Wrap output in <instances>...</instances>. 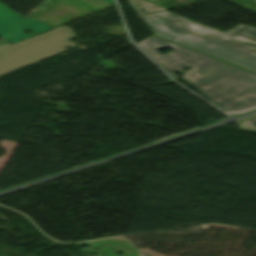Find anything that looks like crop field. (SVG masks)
Masks as SVG:
<instances>
[{"instance_id": "8a807250", "label": "crop field", "mask_w": 256, "mask_h": 256, "mask_svg": "<svg viewBox=\"0 0 256 256\" xmlns=\"http://www.w3.org/2000/svg\"><path fill=\"white\" fill-rule=\"evenodd\" d=\"M137 45L170 75L191 68L182 78L223 111L256 106V74L158 37ZM166 47L173 51L161 53Z\"/></svg>"}, {"instance_id": "412701ff", "label": "crop field", "mask_w": 256, "mask_h": 256, "mask_svg": "<svg viewBox=\"0 0 256 256\" xmlns=\"http://www.w3.org/2000/svg\"><path fill=\"white\" fill-rule=\"evenodd\" d=\"M8 8L0 3V36L11 43L52 29L38 19L32 20L24 18ZM25 28H28L33 33L24 34L23 30ZM11 33H13L15 37H11Z\"/></svg>"}, {"instance_id": "ac0d7876", "label": "crop field", "mask_w": 256, "mask_h": 256, "mask_svg": "<svg viewBox=\"0 0 256 256\" xmlns=\"http://www.w3.org/2000/svg\"><path fill=\"white\" fill-rule=\"evenodd\" d=\"M140 18L158 36L256 71V28L239 25L216 33L166 11Z\"/></svg>"}, {"instance_id": "e52e79f7", "label": "crop field", "mask_w": 256, "mask_h": 256, "mask_svg": "<svg viewBox=\"0 0 256 256\" xmlns=\"http://www.w3.org/2000/svg\"><path fill=\"white\" fill-rule=\"evenodd\" d=\"M239 130H243V131H248V132L256 133V130L247 129V128H243V127H240Z\"/></svg>"}, {"instance_id": "d8731c3e", "label": "crop field", "mask_w": 256, "mask_h": 256, "mask_svg": "<svg viewBox=\"0 0 256 256\" xmlns=\"http://www.w3.org/2000/svg\"><path fill=\"white\" fill-rule=\"evenodd\" d=\"M102 1L106 2L107 4H109L111 6L114 5L112 0H102Z\"/></svg>"}, {"instance_id": "34b2d1b8", "label": "crop field", "mask_w": 256, "mask_h": 256, "mask_svg": "<svg viewBox=\"0 0 256 256\" xmlns=\"http://www.w3.org/2000/svg\"><path fill=\"white\" fill-rule=\"evenodd\" d=\"M73 37V31L63 25L15 45L0 46V76L62 53L65 47H77L69 41Z\"/></svg>"}, {"instance_id": "dd49c442", "label": "crop field", "mask_w": 256, "mask_h": 256, "mask_svg": "<svg viewBox=\"0 0 256 256\" xmlns=\"http://www.w3.org/2000/svg\"><path fill=\"white\" fill-rule=\"evenodd\" d=\"M242 122L248 123V127L256 128V116L250 117Z\"/></svg>"}, {"instance_id": "f4fd0767", "label": "crop field", "mask_w": 256, "mask_h": 256, "mask_svg": "<svg viewBox=\"0 0 256 256\" xmlns=\"http://www.w3.org/2000/svg\"><path fill=\"white\" fill-rule=\"evenodd\" d=\"M126 2L130 5V7L136 12L138 16L166 10L165 8L156 6L144 0H127Z\"/></svg>"}]
</instances>
